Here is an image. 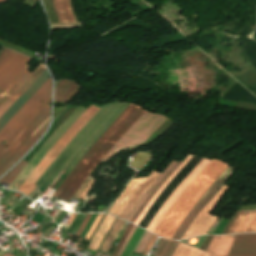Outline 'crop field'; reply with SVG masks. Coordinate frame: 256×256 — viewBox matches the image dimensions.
<instances>
[{"label":"crop field","instance_id":"crop-field-9","mask_svg":"<svg viewBox=\"0 0 256 256\" xmlns=\"http://www.w3.org/2000/svg\"><path fill=\"white\" fill-rule=\"evenodd\" d=\"M31 58L10 50L0 61V91L22 70Z\"/></svg>","mask_w":256,"mask_h":256},{"label":"crop field","instance_id":"crop-field-34","mask_svg":"<svg viewBox=\"0 0 256 256\" xmlns=\"http://www.w3.org/2000/svg\"><path fill=\"white\" fill-rule=\"evenodd\" d=\"M9 51V49L5 48L4 51L0 55V60L5 56V54Z\"/></svg>","mask_w":256,"mask_h":256},{"label":"crop field","instance_id":"crop-field-14","mask_svg":"<svg viewBox=\"0 0 256 256\" xmlns=\"http://www.w3.org/2000/svg\"><path fill=\"white\" fill-rule=\"evenodd\" d=\"M256 231V210L241 211L232 223L227 234Z\"/></svg>","mask_w":256,"mask_h":256},{"label":"crop field","instance_id":"crop-field-35","mask_svg":"<svg viewBox=\"0 0 256 256\" xmlns=\"http://www.w3.org/2000/svg\"><path fill=\"white\" fill-rule=\"evenodd\" d=\"M75 215H76V214H72V216H71L70 219L68 220L67 224L70 225V223L73 221Z\"/></svg>","mask_w":256,"mask_h":256},{"label":"crop field","instance_id":"crop-field-7","mask_svg":"<svg viewBox=\"0 0 256 256\" xmlns=\"http://www.w3.org/2000/svg\"><path fill=\"white\" fill-rule=\"evenodd\" d=\"M235 169L229 167L219 179L204 193V195L198 200V202L193 206L184 220L181 222L177 231L173 235L172 239H181L185 230L193 222L195 217L198 215L200 210L207 204V202L215 195L218 189L224 184L225 180L233 175Z\"/></svg>","mask_w":256,"mask_h":256},{"label":"crop field","instance_id":"crop-field-26","mask_svg":"<svg viewBox=\"0 0 256 256\" xmlns=\"http://www.w3.org/2000/svg\"><path fill=\"white\" fill-rule=\"evenodd\" d=\"M28 161H20L13 169L9 171V173L3 177L0 182L11 184L12 181L16 178L19 172L25 167Z\"/></svg>","mask_w":256,"mask_h":256},{"label":"crop field","instance_id":"crop-field-8","mask_svg":"<svg viewBox=\"0 0 256 256\" xmlns=\"http://www.w3.org/2000/svg\"><path fill=\"white\" fill-rule=\"evenodd\" d=\"M211 162L209 159L203 158L200 163L192 170V172L184 179V181L177 187V189L169 196L165 204L158 210L156 215L151 220L147 230L154 232L168 210L180 196V194L194 181V179L204 170V168Z\"/></svg>","mask_w":256,"mask_h":256},{"label":"crop field","instance_id":"crop-field-12","mask_svg":"<svg viewBox=\"0 0 256 256\" xmlns=\"http://www.w3.org/2000/svg\"><path fill=\"white\" fill-rule=\"evenodd\" d=\"M229 256H256V234L235 235Z\"/></svg>","mask_w":256,"mask_h":256},{"label":"crop field","instance_id":"crop-field-22","mask_svg":"<svg viewBox=\"0 0 256 256\" xmlns=\"http://www.w3.org/2000/svg\"><path fill=\"white\" fill-rule=\"evenodd\" d=\"M124 221L117 218L116 222L114 223L110 233L107 235V237L104 240V243L100 250L104 252H108L111 244L113 243L116 235L118 234L120 228L122 227Z\"/></svg>","mask_w":256,"mask_h":256},{"label":"crop field","instance_id":"crop-field-15","mask_svg":"<svg viewBox=\"0 0 256 256\" xmlns=\"http://www.w3.org/2000/svg\"><path fill=\"white\" fill-rule=\"evenodd\" d=\"M46 68L39 64L36 69L28 76V78L19 86V88L1 105L0 117L8 110V108L26 91V89L34 82V80Z\"/></svg>","mask_w":256,"mask_h":256},{"label":"crop field","instance_id":"crop-field-17","mask_svg":"<svg viewBox=\"0 0 256 256\" xmlns=\"http://www.w3.org/2000/svg\"><path fill=\"white\" fill-rule=\"evenodd\" d=\"M63 3V6H62ZM53 5L55 8L56 15L58 17L59 23L62 22H76L75 18L70 10L69 0H53Z\"/></svg>","mask_w":256,"mask_h":256},{"label":"crop field","instance_id":"crop-field-5","mask_svg":"<svg viewBox=\"0 0 256 256\" xmlns=\"http://www.w3.org/2000/svg\"><path fill=\"white\" fill-rule=\"evenodd\" d=\"M166 119L167 118L161 115H154L148 111L144 112L103 159L127 146H141Z\"/></svg>","mask_w":256,"mask_h":256},{"label":"crop field","instance_id":"crop-field-2","mask_svg":"<svg viewBox=\"0 0 256 256\" xmlns=\"http://www.w3.org/2000/svg\"><path fill=\"white\" fill-rule=\"evenodd\" d=\"M229 165L222 161H213L198 176V178L181 194L154 234L171 239L182 219L208 189V187L222 174Z\"/></svg>","mask_w":256,"mask_h":256},{"label":"crop field","instance_id":"crop-field-6","mask_svg":"<svg viewBox=\"0 0 256 256\" xmlns=\"http://www.w3.org/2000/svg\"><path fill=\"white\" fill-rule=\"evenodd\" d=\"M159 175L160 173L153 170L146 178L132 179L108 213L126 219L136 203Z\"/></svg>","mask_w":256,"mask_h":256},{"label":"crop field","instance_id":"crop-field-18","mask_svg":"<svg viewBox=\"0 0 256 256\" xmlns=\"http://www.w3.org/2000/svg\"><path fill=\"white\" fill-rule=\"evenodd\" d=\"M28 65L17 75V77L0 93V104L11 94L13 93L18 86L26 79L30 74L27 72Z\"/></svg>","mask_w":256,"mask_h":256},{"label":"crop field","instance_id":"crop-field-24","mask_svg":"<svg viewBox=\"0 0 256 256\" xmlns=\"http://www.w3.org/2000/svg\"><path fill=\"white\" fill-rule=\"evenodd\" d=\"M173 256H208L204 252L179 243Z\"/></svg>","mask_w":256,"mask_h":256},{"label":"crop field","instance_id":"crop-field-30","mask_svg":"<svg viewBox=\"0 0 256 256\" xmlns=\"http://www.w3.org/2000/svg\"><path fill=\"white\" fill-rule=\"evenodd\" d=\"M135 229H136V226L133 225V227H132V229H131V231H130L128 237L126 238V240H125V242H124L122 248L120 249L119 253L117 254V256H120V255L122 254V252H123V250H124L126 244L128 243V241H129L130 237L132 236L133 232L135 231Z\"/></svg>","mask_w":256,"mask_h":256},{"label":"crop field","instance_id":"crop-field-10","mask_svg":"<svg viewBox=\"0 0 256 256\" xmlns=\"http://www.w3.org/2000/svg\"><path fill=\"white\" fill-rule=\"evenodd\" d=\"M228 190V188L222 186L216 195L208 202V204L201 210L197 218L194 220L188 231L183 238L206 234L210 226L216 220L217 216L209 214L210 211L219 202L221 196ZM182 238V239H183Z\"/></svg>","mask_w":256,"mask_h":256},{"label":"crop field","instance_id":"crop-field-37","mask_svg":"<svg viewBox=\"0 0 256 256\" xmlns=\"http://www.w3.org/2000/svg\"><path fill=\"white\" fill-rule=\"evenodd\" d=\"M3 1V0H0V2Z\"/></svg>","mask_w":256,"mask_h":256},{"label":"crop field","instance_id":"crop-field-20","mask_svg":"<svg viewBox=\"0 0 256 256\" xmlns=\"http://www.w3.org/2000/svg\"><path fill=\"white\" fill-rule=\"evenodd\" d=\"M191 155H189L186 160L174 171V173L169 177V179L164 183V185L159 189V191L154 195V197L150 200L146 208L143 210L141 215L138 217V219L135 221V224L138 225L140 220L143 218L147 210L150 208L152 203L155 201V199L159 196V194L163 191V189L170 183V181L180 172V170L188 163V161L191 159Z\"/></svg>","mask_w":256,"mask_h":256},{"label":"crop field","instance_id":"crop-field-4","mask_svg":"<svg viewBox=\"0 0 256 256\" xmlns=\"http://www.w3.org/2000/svg\"><path fill=\"white\" fill-rule=\"evenodd\" d=\"M99 110L94 106H90L82 116L69 128V130L58 140L53 148L46 154V156L39 162L33 172L20 185L17 191L29 195L35 188L34 183L56 158V156L64 149L70 142L74 135L89 121V119Z\"/></svg>","mask_w":256,"mask_h":256},{"label":"crop field","instance_id":"crop-field-36","mask_svg":"<svg viewBox=\"0 0 256 256\" xmlns=\"http://www.w3.org/2000/svg\"><path fill=\"white\" fill-rule=\"evenodd\" d=\"M4 256H11V255L7 253V254H5Z\"/></svg>","mask_w":256,"mask_h":256},{"label":"crop field","instance_id":"crop-field-29","mask_svg":"<svg viewBox=\"0 0 256 256\" xmlns=\"http://www.w3.org/2000/svg\"><path fill=\"white\" fill-rule=\"evenodd\" d=\"M131 227H132V224L129 223L128 227H127L126 230L124 231V233H123V235H122V237H121V240H120L118 246L116 247L115 251L113 252L112 256H115V255L118 253V251H119V249H120V247H121L123 241L125 240V238H126L128 232L130 231Z\"/></svg>","mask_w":256,"mask_h":256},{"label":"crop field","instance_id":"crop-field-32","mask_svg":"<svg viewBox=\"0 0 256 256\" xmlns=\"http://www.w3.org/2000/svg\"><path fill=\"white\" fill-rule=\"evenodd\" d=\"M90 216H91V214H88L87 217L85 218L84 222L82 223L81 227L79 228V230L76 233L77 236L80 235L82 229L84 228V226H85V224H86V222H87V220L89 219Z\"/></svg>","mask_w":256,"mask_h":256},{"label":"crop field","instance_id":"crop-field-23","mask_svg":"<svg viewBox=\"0 0 256 256\" xmlns=\"http://www.w3.org/2000/svg\"><path fill=\"white\" fill-rule=\"evenodd\" d=\"M176 161H172L168 167L165 169V171L159 176V178L153 183V185L150 187V189L146 192V194L141 198V200L138 202V204L135 206V208L132 210L130 215L127 217V220L130 221V219L133 217L137 209L140 207V205L143 203V201L146 199V197L149 195V193L155 188V186L162 180V178L168 173V171L174 166Z\"/></svg>","mask_w":256,"mask_h":256},{"label":"crop field","instance_id":"crop-field-33","mask_svg":"<svg viewBox=\"0 0 256 256\" xmlns=\"http://www.w3.org/2000/svg\"><path fill=\"white\" fill-rule=\"evenodd\" d=\"M7 148V146L0 144V156L5 152Z\"/></svg>","mask_w":256,"mask_h":256},{"label":"crop field","instance_id":"crop-field-16","mask_svg":"<svg viewBox=\"0 0 256 256\" xmlns=\"http://www.w3.org/2000/svg\"><path fill=\"white\" fill-rule=\"evenodd\" d=\"M234 239L231 236H214L205 252L213 256H227Z\"/></svg>","mask_w":256,"mask_h":256},{"label":"crop field","instance_id":"crop-field-3","mask_svg":"<svg viewBox=\"0 0 256 256\" xmlns=\"http://www.w3.org/2000/svg\"><path fill=\"white\" fill-rule=\"evenodd\" d=\"M51 101V82L48 78L45 83L35 92L27 103L7 122L0 131V142L5 141V145L15 139L21 130L30 120Z\"/></svg>","mask_w":256,"mask_h":256},{"label":"crop field","instance_id":"crop-field-25","mask_svg":"<svg viewBox=\"0 0 256 256\" xmlns=\"http://www.w3.org/2000/svg\"><path fill=\"white\" fill-rule=\"evenodd\" d=\"M180 163L177 162L175 166L169 171V173L163 178V180L156 186V188L151 192V194L148 196V198L144 201V203L141 205L137 213L134 215V217L131 219V222L134 223V221L137 219L139 214L142 212V210L145 208L149 200L152 198V196L157 192V190L162 186V184L167 180V178L172 174V172L178 167Z\"/></svg>","mask_w":256,"mask_h":256},{"label":"crop field","instance_id":"crop-field-28","mask_svg":"<svg viewBox=\"0 0 256 256\" xmlns=\"http://www.w3.org/2000/svg\"><path fill=\"white\" fill-rule=\"evenodd\" d=\"M153 234L149 233L146 231L144 237L142 238L140 244L138 245L136 251L137 252H143L145 246L147 245V243L149 242L150 238L152 237Z\"/></svg>","mask_w":256,"mask_h":256},{"label":"crop field","instance_id":"crop-field-27","mask_svg":"<svg viewBox=\"0 0 256 256\" xmlns=\"http://www.w3.org/2000/svg\"><path fill=\"white\" fill-rule=\"evenodd\" d=\"M92 180L90 176L86 178V180L83 182V184L80 186L78 191L75 193L74 197L81 199L85 193L90 189Z\"/></svg>","mask_w":256,"mask_h":256},{"label":"crop field","instance_id":"crop-field-1","mask_svg":"<svg viewBox=\"0 0 256 256\" xmlns=\"http://www.w3.org/2000/svg\"><path fill=\"white\" fill-rule=\"evenodd\" d=\"M134 105L130 104L96 141V143L84 154L73 171L71 170L72 172L66 180L64 179L65 181L55 191L53 196L69 201L72 194L99 163L103 156L145 111Z\"/></svg>","mask_w":256,"mask_h":256},{"label":"crop field","instance_id":"crop-field-13","mask_svg":"<svg viewBox=\"0 0 256 256\" xmlns=\"http://www.w3.org/2000/svg\"><path fill=\"white\" fill-rule=\"evenodd\" d=\"M49 116L42 121L36 129L31 133V135L25 140V142L19 147V149L14 153L11 159L7 162V164L3 167L0 171V175L7 170L10 166H12L43 134L45 131L48 123H49Z\"/></svg>","mask_w":256,"mask_h":256},{"label":"crop field","instance_id":"crop-field-21","mask_svg":"<svg viewBox=\"0 0 256 256\" xmlns=\"http://www.w3.org/2000/svg\"><path fill=\"white\" fill-rule=\"evenodd\" d=\"M178 242L160 239L153 256H172Z\"/></svg>","mask_w":256,"mask_h":256},{"label":"crop field","instance_id":"crop-field-31","mask_svg":"<svg viewBox=\"0 0 256 256\" xmlns=\"http://www.w3.org/2000/svg\"><path fill=\"white\" fill-rule=\"evenodd\" d=\"M101 216H102V214H99V215L97 216V218H96V220H95V222H94V224H93L91 230L89 231V233H88V234L86 235V237H85L86 240H88L89 236L91 235V233H92L94 227L96 226V224H97V222L99 221V219L101 218Z\"/></svg>","mask_w":256,"mask_h":256},{"label":"crop field","instance_id":"crop-field-38","mask_svg":"<svg viewBox=\"0 0 256 256\" xmlns=\"http://www.w3.org/2000/svg\"><path fill=\"white\" fill-rule=\"evenodd\" d=\"M6 0H4L3 2H5Z\"/></svg>","mask_w":256,"mask_h":256},{"label":"crop field","instance_id":"crop-field-11","mask_svg":"<svg viewBox=\"0 0 256 256\" xmlns=\"http://www.w3.org/2000/svg\"><path fill=\"white\" fill-rule=\"evenodd\" d=\"M50 114L49 106L44 107L39 114L22 130V132L17 136L11 146L0 158V170L10 159L13 153L18 149V147L23 143V141L29 136V134L35 129V127L48 115Z\"/></svg>","mask_w":256,"mask_h":256},{"label":"crop field","instance_id":"crop-field-19","mask_svg":"<svg viewBox=\"0 0 256 256\" xmlns=\"http://www.w3.org/2000/svg\"><path fill=\"white\" fill-rule=\"evenodd\" d=\"M113 220H114V217L106 214V216H105L103 222L101 223L97 233L95 234L92 242L90 241L91 243L89 244L88 248L97 251L102 238L104 237L106 231L108 230V228Z\"/></svg>","mask_w":256,"mask_h":256}]
</instances>
